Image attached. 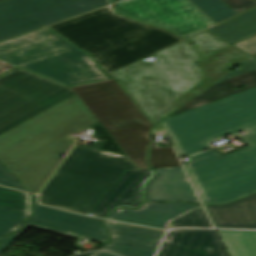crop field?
<instances>
[{"label":"crop field","instance_id":"8a807250","mask_svg":"<svg viewBox=\"0 0 256 256\" xmlns=\"http://www.w3.org/2000/svg\"><path fill=\"white\" fill-rule=\"evenodd\" d=\"M96 123L75 94L0 135V160L30 192L38 193L63 160L60 154L73 146L69 133Z\"/></svg>","mask_w":256,"mask_h":256},{"label":"crop field","instance_id":"ac0d7876","mask_svg":"<svg viewBox=\"0 0 256 256\" xmlns=\"http://www.w3.org/2000/svg\"><path fill=\"white\" fill-rule=\"evenodd\" d=\"M49 27L88 51L107 74L183 40L120 16L112 5Z\"/></svg>","mask_w":256,"mask_h":256},{"label":"crop field","instance_id":"34b2d1b8","mask_svg":"<svg viewBox=\"0 0 256 256\" xmlns=\"http://www.w3.org/2000/svg\"><path fill=\"white\" fill-rule=\"evenodd\" d=\"M153 56L157 63L140 60L109 77L118 81L155 125L178 107L175 100L200 83L204 75L195 64L203 57L186 41Z\"/></svg>","mask_w":256,"mask_h":256},{"label":"crop field","instance_id":"412701ff","mask_svg":"<svg viewBox=\"0 0 256 256\" xmlns=\"http://www.w3.org/2000/svg\"><path fill=\"white\" fill-rule=\"evenodd\" d=\"M74 146L67 158L43 188L39 201L87 214L125 170L136 169L127 156Z\"/></svg>","mask_w":256,"mask_h":256},{"label":"crop field","instance_id":"f4fd0767","mask_svg":"<svg viewBox=\"0 0 256 256\" xmlns=\"http://www.w3.org/2000/svg\"><path fill=\"white\" fill-rule=\"evenodd\" d=\"M177 153L209 148L211 139L256 128V87L161 121Z\"/></svg>","mask_w":256,"mask_h":256},{"label":"crop field","instance_id":"dd49c442","mask_svg":"<svg viewBox=\"0 0 256 256\" xmlns=\"http://www.w3.org/2000/svg\"><path fill=\"white\" fill-rule=\"evenodd\" d=\"M138 169H150L152 125L114 79L70 87Z\"/></svg>","mask_w":256,"mask_h":256},{"label":"crop field","instance_id":"e52e79f7","mask_svg":"<svg viewBox=\"0 0 256 256\" xmlns=\"http://www.w3.org/2000/svg\"><path fill=\"white\" fill-rule=\"evenodd\" d=\"M238 138L249 147L226 155L211 149L184 162L203 203L227 202L256 192V129Z\"/></svg>","mask_w":256,"mask_h":256},{"label":"crop field","instance_id":"d8731c3e","mask_svg":"<svg viewBox=\"0 0 256 256\" xmlns=\"http://www.w3.org/2000/svg\"><path fill=\"white\" fill-rule=\"evenodd\" d=\"M75 94L19 67L0 76V134Z\"/></svg>","mask_w":256,"mask_h":256},{"label":"crop field","instance_id":"5a996713","mask_svg":"<svg viewBox=\"0 0 256 256\" xmlns=\"http://www.w3.org/2000/svg\"><path fill=\"white\" fill-rule=\"evenodd\" d=\"M69 43L45 27L1 42L0 60L64 85L62 56L82 52Z\"/></svg>","mask_w":256,"mask_h":256},{"label":"crop field","instance_id":"3316defc","mask_svg":"<svg viewBox=\"0 0 256 256\" xmlns=\"http://www.w3.org/2000/svg\"><path fill=\"white\" fill-rule=\"evenodd\" d=\"M117 13L163 27L187 38L215 26L187 0H126L115 4Z\"/></svg>","mask_w":256,"mask_h":256},{"label":"crop field","instance_id":"28ad6ade","mask_svg":"<svg viewBox=\"0 0 256 256\" xmlns=\"http://www.w3.org/2000/svg\"><path fill=\"white\" fill-rule=\"evenodd\" d=\"M28 226L74 237L76 235L93 238L107 243L109 236L105 232L101 219L61 211L37 204L33 195V214L18 233L9 235L0 244V254Z\"/></svg>","mask_w":256,"mask_h":256},{"label":"crop field","instance_id":"d1516ede","mask_svg":"<svg viewBox=\"0 0 256 256\" xmlns=\"http://www.w3.org/2000/svg\"><path fill=\"white\" fill-rule=\"evenodd\" d=\"M112 241L101 249L123 256H154L165 231L104 220Z\"/></svg>","mask_w":256,"mask_h":256},{"label":"crop field","instance_id":"22f410ed","mask_svg":"<svg viewBox=\"0 0 256 256\" xmlns=\"http://www.w3.org/2000/svg\"><path fill=\"white\" fill-rule=\"evenodd\" d=\"M158 256H228L216 230L179 229L167 234Z\"/></svg>","mask_w":256,"mask_h":256},{"label":"crop field","instance_id":"cbeb9de0","mask_svg":"<svg viewBox=\"0 0 256 256\" xmlns=\"http://www.w3.org/2000/svg\"><path fill=\"white\" fill-rule=\"evenodd\" d=\"M110 0H73L0 25V41L110 4Z\"/></svg>","mask_w":256,"mask_h":256},{"label":"crop field","instance_id":"5142ce71","mask_svg":"<svg viewBox=\"0 0 256 256\" xmlns=\"http://www.w3.org/2000/svg\"><path fill=\"white\" fill-rule=\"evenodd\" d=\"M153 173L152 169L125 171L89 213L103 217L117 206L138 207L144 183Z\"/></svg>","mask_w":256,"mask_h":256},{"label":"crop field","instance_id":"d9b57169","mask_svg":"<svg viewBox=\"0 0 256 256\" xmlns=\"http://www.w3.org/2000/svg\"><path fill=\"white\" fill-rule=\"evenodd\" d=\"M241 71H234L205 89L203 92L189 100L169 116L185 112L198 106L238 93L256 86V60L251 56L241 64ZM245 85L243 88L234 89L235 86Z\"/></svg>","mask_w":256,"mask_h":256},{"label":"crop field","instance_id":"733c2abd","mask_svg":"<svg viewBox=\"0 0 256 256\" xmlns=\"http://www.w3.org/2000/svg\"><path fill=\"white\" fill-rule=\"evenodd\" d=\"M200 206L189 203L156 204L144 202L138 210L121 208L109 215L107 219L167 229L169 223L174 219Z\"/></svg>","mask_w":256,"mask_h":256},{"label":"crop field","instance_id":"4a817a6b","mask_svg":"<svg viewBox=\"0 0 256 256\" xmlns=\"http://www.w3.org/2000/svg\"><path fill=\"white\" fill-rule=\"evenodd\" d=\"M156 171L157 176L146 185L145 200L199 203L181 167Z\"/></svg>","mask_w":256,"mask_h":256},{"label":"crop field","instance_id":"bc2a9ffb","mask_svg":"<svg viewBox=\"0 0 256 256\" xmlns=\"http://www.w3.org/2000/svg\"><path fill=\"white\" fill-rule=\"evenodd\" d=\"M216 227L256 228V193L218 205H206Z\"/></svg>","mask_w":256,"mask_h":256},{"label":"crop field","instance_id":"214f88e0","mask_svg":"<svg viewBox=\"0 0 256 256\" xmlns=\"http://www.w3.org/2000/svg\"><path fill=\"white\" fill-rule=\"evenodd\" d=\"M223 50V49H222ZM221 51V50H220ZM219 52V51H218ZM250 55L238 50L233 45L227 49L214 54L198 64L204 68L207 78L203 83L178 100L182 105L189 99L203 91L205 88L231 72V67L244 62Z\"/></svg>","mask_w":256,"mask_h":256},{"label":"crop field","instance_id":"92a150f3","mask_svg":"<svg viewBox=\"0 0 256 256\" xmlns=\"http://www.w3.org/2000/svg\"><path fill=\"white\" fill-rule=\"evenodd\" d=\"M65 84L76 86L108 79L87 52L63 57Z\"/></svg>","mask_w":256,"mask_h":256},{"label":"crop field","instance_id":"dafd665d","mask_svg":"<svg viewBox=\"0 0 256 256\" xmlns=\"http://www.w3.org/2000/svg\"><path fill=\"white\" fill-rule=\"evenodd\" d=\"M209 31L229 43L253 35L256 33V8L242 13Z\"/></svg>","mask_w":256,"mask_h":256},{"label":"crop field","instance_id":"00972430","mask_svg":"<svg viewBox=\"0 0 256 256\" xmlns=\"http://www.w3.org/2000/svg\"><path fill=\"white\" fill-rule=\"evenodd\" d=\"M70 0H7L0 2V24Z\"/></svg>","mask_w":256,"mask_h":256},{"label":"crop field","instance_id":"a9b5d70f","mask_svg":"<svg viewBox=\"0 0 256 256\" xmlns=\"http://www.w3.org/2000/svg\"><path fill=\"white\" fill-rule=\"evenodd\" d=\"M231 256H256V231L218 230Z\"/></svg>","mask_w":256,"mask_h":256},{"label":"crop field","instance_id":"4177f3b9","mask_svg":"<svg viewBox=\"0 0 256 256\" xmlns=\"http://www.w3.org/2000/svg\"><path fill=\"white\" fill-rule=\"evenodd\" d=\"M207 16L213 19L216 23L221 22L236 13L222 0H190Z\"/></svg>","mask_w":256,"mask_h":256},{"label":"crop field","instance_id":"730fd06b","mask_svg":"<svg viewBox=\"0 0 256 256\" xmlns=\"http://www.w3.org/2000/svg\"><path fill=\"white\" fill-rule=\"evenodd\" d=\"M0 206L30 214L31 196L0 187Z\"/></svg>","mask_w":256,"mask_h":256},{"label":"crop field","instance_id":"eef30255","mask_svg":"<svg viewBox=\"0 0 256 256\" xmlns=\"http://www.w3.org/2000/svg\"><path fill=\"white\" fill-rule=\"evenodd\" d=\"M29 214L0 207V241L10 232L17 231Z\"/></svg>","mask_w":256,"mask_h":256},{"label":"crop field","instance_id":"ae1a2a85","mask_svg":"<svg viewBox=\"0 0 256 256\" xmlns=\"http://www.w3.org/2000/svg\"><path fill=\"white\" fill-rule=\"evenodd\" d=\"M188 40L193 42L205 56L230 45L207 30Z\"/></svg>","mask_w":256,"mask_h":256},{"label":"crop field","instance_id":"d3111659","mask_svg":"<svg viewBox=\"0 0 256 256\" xmlns=\"http://www.w3.org/2000/svg\"><path fill=\"white\" fill-rule=\"evenodd\" d=\"M171 147H159L153 144L150 149V165L154 168L180 166Z\"/></svg>","mask_w":256,"mask_h":256},{"label":"crop field","instance_id":"750c4746","mask_svg":"<svg viewBox=\"0 0 256 256\" xmlns=\"http://www.w3.org/2000/svg\"><path fill=\"white\" fill-rule=\"evenodd\" d=\"M192 226V227H211L202 207L176 219L170 227Z\"/></svg>","mask_w":256,"mask_h":256},{"label":"crop field","instance_id":"bd1437ed","mask_svg":"<svg viewBox=\"0 0 256 256\" xmlns=\"http://www.w3.org/2000/svg\"><path fill=\"white\" fill-rule=\"evenodd\" d=\"M0 184L26 191L18 181L0 164Z\"/></svg>","mask_w":256,"mask_h":256},{"label":"crop field","instance_id":"1d83c4d3","mask_svg":"<svg viewBox=\"0 0 256 256\" xmlns=\"http://www.w3.org/2000/svg\"><path fill=\"white\" fill-rule=\"evenodd\" d=\"M225 1L237 14L256 5V0H223Z\"/></svg>","mask_w":256,"mask_h":256},{"label":"crop field","instance_id":"120bbe31","mask_svg":"<svg viewBox=\"0 0 256 256\" xmlns=\"http://www.w3.org/2000/svg\"><path fill=\"white\" fill-rule=\"evenodd\" d=\"M234 46L253 55L256 53V36L240 41L234 44Z\"/></svg>","mask_w":256,"mask_h":256},{"label":"crop field","instance_id":"d32e631a","mask_svg":"<svg viewBox=\"0 0 256 256\" xmlns=\"http://www.w3.org/2000/svg\"><path fill=\"white\" fill-rule=\"evenodd\" d=\"M13 67L15 66L5 63L3 61H0V73L5 72Z\"/></svg>","mask_w":256,"mask_h":256},{"label":"crop field","instance_id":"5866460e","mask_svg":"<svg viewBox=\"0 0 256 256\" xmlns=\"http://www.w3.org/2000/svg\"><path fill=\"white\" fill-rule=\"evenodd\" d=\"M90 256H116V255H113V254H110V253H106V252H95V253H93Z\"/></svg>","mask_w":256,"mask_h":256},{"label":"crop field","instance_id":"028f5c9d","mask_svg":"<svg viewBox=\"0 0 256 256\" xmlns=\"http://www.w3.org/2000/svg\"><path fill=\"white\" fill-rule=\"evenodd\" d=\"M255 59H256V55L255 56H253Z\"/></svg>","mask_w":256,"mask_h":256},{"label":"crop field","instance_id":"e1f06a70","mask_svg":"<svg viewBox=\"0 0 256 256\" xmlns=\"http://www.w3.org/2000/svg\"><path fill=\"white\" fill-rule=\"evenodd\" d=\"M116 1H119V0H114V2H116Z\"/></svg>","mask_w":256,"mask_h":256},{"label":"crop field","instance_id":"0bd39190","mask_svg":"<svg viewBox=\"0 0 256 256\" xmlns=\"http://www.w3.org/2000/svg\"><path fill=\"white\" fill-rule=\"evenodd\" d=\"M0 1H4V0H0Z\"/></svg>","mask_w":256,"mask_h":256}]
</instances>
